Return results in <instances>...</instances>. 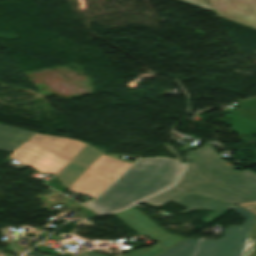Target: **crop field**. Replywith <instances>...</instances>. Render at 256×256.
Returning <instances> with one entry per match:
<instances>
[{"label":"crop field","mask_w":256,"mask_h":256,"mask_svg":"<svg viewBox=\"0 0 256 256\" xmlns=\"http://www.w3.org/2000/svg\"><path fill=\"white\" fill-rule=\"evenodd\" d=\"M115 215L139 234L148 236L167 249L183 240L178 235H171L164 232L133 207Z\"/></svg>","instance_id":"obj_6"},{"label":"crop field","mask_w":256,"mask_h":256,"mask_svg":"<svg viewBox=\"0 0 256 256\" xmlns=\"http://www.w3.org/2000/svg\"><path fill=\"white\" fill-rule=\"evenodd\" d=\"M113 180L88 169L67 190L78 195L93 198Z\"/></svg>","instance_id":"obj_8"},{"label":"crop field","mask_w":256,"mask_h":256,"mask_svg":"<svg viewBox=\"0 0 256 256\" xmlns=\"http://www.w3.org/2000/svg\"><path fill=\"white\" fill-rule=\"evenodd\" d=\"M241 256H256V216H253V220Z\"/></svg>","instance_id":"obj_14"},{"label":"crop field","mask_w":256,"mask_h":256,"mask_svg":"<svg viewBox=\"0 0 256 256\" xmlns=\"http://www.w3.org/2000/svg\"><path fill=\"white\" fill-rule=\"evenodd\" d=\"M246 221L243 226H230L221 240L203 239L195 256H240L253 214L241 207L232 209Z\"/></svg>","instance_id":"obj_3"},{"label":"crop field","mask_w":256,"mask_h":256,"mask_svg":"<svg viewBox=\"0 0 256 256\" xmlns=\"http://www.w3.org/2000/svg\"><path fill=\"white\" fill-rule=\"evenodd\" d=\"M219 18L256 30V0H209Z\"/></svg>","instance_id":"obj_5"},{"label":"crop field","mask_w":256,"mask_h":256,"mask_svg":"<svg viewBox=\"0 0 256 256\" xmlns=\"http://www.w3.org/2000/svg\"><path fill=\"white\" fill-rule=\"evenodd\" d=\"M0 132L15 135V136H19V137H23V138H27V139H29L30 137H32L35 134V133L19 130V129H16V128L4 126V125H1V124H0Z\"/></svg>","instance_id":"obj_17"},{"label":"crop field","mask_w":256,"mask_h":256,"mask_svg":"<svg viewBox=\"0 0 256 256\" xmlns=\"http://www.w3.org/2000/svg\"><path fill=\"white\" fill-rule=\"evenodd\" d=\"M129 165L130 163L102 155L91 169L115 179Z\"/></svg>","instance_id":"obj_10"},{"label":"crop field","mask_w":256,"mask_h":256,"mask_svg":"<svg viewBox=\"0 0 256 256\" xmlns=\"http://www.w3.org/2000/svg\"><path fill=\"white\" fill-rule=\"evenodd\" d=\"M200 239H185L159 256H192Z\"/></svg>","instance_id":"obj_12"},{"label":"crop field","mask_w":256,"mask_h":256,"mask_svg":"<svg viewBox=\"0 0 256 256\" xmlns=\"http://www.w3.org/2000/svg\"><path fill=\"white\" fill-rule=\"evenodd\" d=\"M9 157L39 172L53 175L70 161L29 141L12 152Z\"/></svg>","instance_id":"obj_4"},{"label":"crop field","mask_w":256,"mask_h":256,"mask_svg":"<svg viewBox=\"0 0 256 256\" xmlns=\"http://www.w3.org/2000/svg\"><path fill=\"white\" fill-rule=\"evenodd\" d=\"M102 154L87 144L72 160L90 168Z\"/></svg>","instance_id":"obj_13"},{"label":"crop field","mask_w":256,"mask_h":256,"mask_svg":"<svg viewBox=\"0 0 256 256\" xmlns=\"http://www.w3.org/2000/svg\"><path fill=\"white\" fill-rule=\"evenodd\" d=\"M29 140L55 151L70 160L86 145V143L80 141L56 136H46L43 134H36Z\"/></svg>","instance_id":"obj_9"},{"label":"crop field","mask_w":256,"mask_h":256,"mask_svg":"<svg viewBox=\"0 0 256 256\" xmlns=\"http://www.w3.org/2000/svg\"><path fill=\"white\" fill-rule=\"evenodd\" d=\"M165 250L167 249H165L164 247L156 243L151 249H142L139 251L131 252L125 256H157ZM85 256H104V255L91 252Z\"/></svg>","instance_id":"obj_16"},{"label":"crop field","mask_w":256,"mask_h":256,"mask_svg":"<svg viewBox=\"0 0 256 256\" xmlns=\"http://www.w3.org/2000/svg\"><path fill=\"white\" fill-rule=\"evenodd\" d=\"M187 155L192 163H188L181 181L144 203L159 208L192 191L238 204L256 215L255 172L230 168L210 145Z\"/></svg>","instance_id":"obj_1"},{"label":"crop field","mask_w":256,"mask_h":256,"mask_svg":"<svg viewBox=\"0 0 256 256\" xmlns=\"http://www.w3.org/2000/svg\"><path fill=\"white\" fill-rule=\"evenodd\" d=\"M25 141L26 140H22L19 138H15V137L0 133V150L12 152L21 144H23Z\"/></svg>","instance_id":"obj_15"},{"label":"crop field","mask_w":256,"mask_h":256,"mask_svg":"<svg viewBox=\"0 0 256 256\" xmlns=\"http://www.w3.org/2000/svg\"><path fill=\"white\" fill-rule=\"evenodd\" d=\"M0 256H8V255L0 254Z\"/></svg>","instance_id":"obj_20"},{"label":"crop field","mask_w":256,"mask_h":256,"mask_svg":"<svg viewBox=\"0 0 256 256\" xmlns=\"http://www.w3.org/2000/svg\"><path fill=\"white\" fill-rule=\"evenodd\" d=\"M181 172L177 160L142 158L97 200L85 205L102 214L118 211L176 183Z\"/></svg>","instance_id":"obj_2"},{"label":"crop field","mask_w":256,"mask_h":256,"mask_svg":"<svg viewBox=\"0 0 256 256\" xmlns=\"http://www.w3.org/2000/svg\"><path fill=\"white\" fill-rule=\"evenodd\" d=\"M86 170L87 168L71 161L65 168H63L57 174V177L60 179V181L63 183V185L67 189Z\"/></svg>","instance_id":"obj_11"},{"label":"crop field","mask_w":256,"mask_h":256,"mask_svg":"<svg viewBox=\"0 0 256 256\" xmlns=\"http://www.w3.org/2000/svg\"><path fill=\"white\" fill-rule=\"evenodd\" d=\"M184 3H188L197 7H201L207 10L214 11L207 0H178Z\"/></svg>","instance_id":"obj_18"},{"label":"crop field","mask_w":256,"mask_h":256,"mask_svg":"<svg viewBox=\"0 0 256 256\" xmlns=\"http://www.w3.org/2000/svg\"><path fill=\"white\" fill-rule=\"evenodd\" d=\"M173 202L188 208L187 211L182 213H187L195 209H209L214 211V214L204 219V222L206 223L212 222L219 216L223 215L227 211L237 206L235 204H231L192 192L174 200Z\"/></svg>","instance_id":"obj_7"},{"label":"crop field","mask_w":256,"mask_h":256,"mask_svg":"<svg viewBox=\"0 0 256 256\" xmlns=\"http://www.w3.org/2000/svg\"><path fill=\"white\" fill-rule=\"evenodd\" d=\"M25 256H44V255H41V254L31 251L28 254H26Z\"/></svg>","instance_id":"obj_19"}]
</instances>
